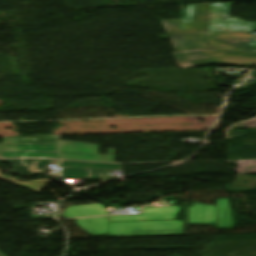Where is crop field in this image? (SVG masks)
I'll return each instance as SVG.
<instances>
[{
	"mask_svg": "<svg viewBox=\"0 0 256 256\" xmlns=\"http://www.w3.org/2000/svg\"><path fill=\"white\" fill-rule=\"evenodd\" d=\"M61 172L65 179H102L106 180L104 169L121 170V165L63 161Z\"/></svg>",
	"mask_w": 256,
	"mask_h": 256,
	"instance_id": "e52e79f7",
	"label": "crop field"
},
{
	"mask_svg": "<svg viewBox=\"0 0 256 256\" xmlns=\"http://www.w3.org/2000/svg\"><path fill=\"white\" fill-rule=\"evenodd\" d=\"M0 256H3V255L0 253Z\"/></svg>",
	"mask_w": 256,
	"mask_h": 256,
	"instance_id": "cbeb9de0",
	"label": "crop field"
},
{
	"mask_svg": "<svg viewBox=\"0 0 256 256\" xmlns=\"http://www.w3.org/2000/svg\"><path fill=\"white\" fill-rule=\"evenodd\" d=\"M99 145L60 141V136L3 138L0 158H54L114 162L115 150L98 155Z\"/></svg>",
	"mask_w": 256,
	"mask_h": 256,
	"instance_id": "ac0d7876",
	"label": "crop field"
},
{
	"mask_svg": "<svg viewBox=\"0 0 256 256\" xmlns=\"http://www.w3.org/2000/svg\"><path fill=\"white\" fill-rule=\"evenodd\" d=\"M216 203L217 206L193 203V207H189L187 224H217L220 228H231L228 199H219Z\"/></svg>",
	"mask_w": 256,
	"mask_h": 256,
	"instance_id": "dd49c442",
	"label": "crop field"
},
{
	"mask_svg": "<svg viewBox=\"0 0 256 256\" xmlns=\"http://www.w3.org/2000/svg\"><path fill=\"white\" fill-rule=\"evenodd\" d=\"M233 2L211 3L207 33L256 32V22L230 16Z\"/></svg>",
	"mask_w": 256,
	"mask_h": 256,
	"instance_id": "f4fd0767",
	"label": "crop field"
},
{
	"mask_svg": "<svg viewBox=\"0 0 256 256\" xmlns=\"http://www.w3.org/2000/svg\"><path fill=\"white\" fill-rule=\"evenodd\" d=\"M208 3L185 5L181 19L161 20L167 34L205 32Z\"/></svg>",
	"mask_w": 256,
	"mask_h": 256,
	"instance_id": "412701ff",
	"label": "crop field"
},
{
	"mask_svg": "<svg viewBox=\"0 0 256 256\" xmlns=\"http://www.w3.org/2000/svg\"><path fill=\"white\" fill-rule=\"evenodd\" d=\"M108 215L100 204L68 207L63 213L65 218H81Z\"/></svg>",
	"mask_w": 256,
	"mask_h": 256,
	"instance_id": "28ad6ade",
	"label": "crop field"
},
{
	"mask_svg": "<svg viewBox=\"0 0 256 256\" xmlns=\"http://www.w3.org/2000/svg\"><path fill=\"white\" fill-rule=\"evenodd\" d=\"M179 207L144 208L141 215L79 219L76 223L92 236L142 237L182 235V221H174Z\"/></svg>",
	"mask_w": 256,
	"mask_h": 256,
	"instance_id": "8a807250",
	"label": "crop field"
},
{
	"mask_svg": "<svg viewBox=\"0 0 256 256\" xmlns=\"http://www.w3.org/2000/svg\"><path fill=\"white\" fill-rule=\"evenodd\" d=\"M3 177H5V175H2L1 171H0V179L3 178Z\"/></svg>",
	"mask_w": 256,
	"mask_h": 256,
	"instance_id": "22f410ed",
	"label": "crop field"
},
{
	"mask_svg": "<svg viewBox=\"0 0 256 256\" xmlns=\"http://www.w3.org/2000/svg\"><path fill=\"white\" fill-rule=\"evenodd\" d=\"M213 49L253 52L256 48V36L249 33L207 34Z\"/></svg>",
	"mask_w": 256,
	"mask_h": 256,
	"instance_id": "d8731c3e",
	"label": "crop field"
},
{
	"mask_svg": "<svg viewBox=\"0 0 256 256\" xmlns=\"http://www.w3.org/2000/svg\"><path fill=\"white\" fill-rule=\"evenodd\" d=\"M179 67H195L217 64L218 66L256 65V51L254 54L235 53L227 51L198 50L173 53Z\"/></svg>",
	"mask_w": 256,
	"mask_h": 256,
	"instance_id": "34b2d1b8",
	"label": "crop field"
},
{
	"mask_svg": "<svg viewBox=\"0 0 256 256\" xmlns=\"http://www.w3.org/2000/svg\"><path fill=\"white\" fill-rule=\"evenodd\" d=\"M48 180L49 179H37L34 181H30V182H18L17 184L36 191L41 185H43Z\"/></svg>",
	"mask_w": 256,
	"mask_h": 256,
	"instance_id": "d1516ede",
	"label": "crop field"
},
{
	"mask_svg": "<svg viewBox=\"0 0 256 256\" xmlns=\"http://www.w3.org/2000/svg\"><path fill=\"white\" fill-rule=\"evenodd\" d=\"M13 166L12 173L23 177L33 176L43 170L51 162L49 160H1Z\"/></svg>",
	"mask_w": 256,
	"mask_h": 256,
	"instance_id": "3316defc",
	"label": "crop field"
},
{
	"mask_svg": "<svg viewBox=\"0 0 256 256\" xmlns=\"http://www.w3.org/2000/svg\"><path fill=\"white\" fill-rule=\"evenodd\" d=\"M175 51L209 48L205 33L168 35Z\"/></svg>",
	"mask_w": 256,
	"mask_h": 256,
	"instance_id": "5a996713",
	"label": "crop field"
}]
</instances>
